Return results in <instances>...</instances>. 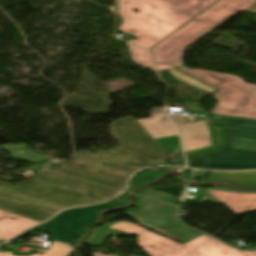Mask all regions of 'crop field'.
Masks as SVG:
<instances>
[{
    "mask_svg": "<svg viewBox=\"0 0 256 256\" xmlns=\"http://www.w3.org/2000/svg\"><path fill=\"white\" fill-rule=\"evenodd\" d=\"M217 0H118V16L123 23L119 32L134 29L139 41L133 44L149 48ZM134 10H139L134 13Z\"/></svg>",
    "mask_w": 256,
    "mask_h": 256,
    "instance_id": "obj_1",
    "label": "crop field"
},
{
    "mask_svg": "<svg viewBox=\"0 0 256 256\" xmlns=\"http://www.w3.org/2000/svg\"><path fill=\"white\" fill-rule=\"evenodd\" d=\"M213 121L227 128L225 147L187 159V167L219 170L256 168V120L213 114Z\"/></svg>",
    "mask_w": 256,
    "mask_h": 256,
    "instance_id": "obj_2",
    "label": "crop field"
},
{
    "mask_svg": "<svg viewBox=\"0 0 256 256\" xmlns=\"http://www.w3.org/2000/svg\"><path fill=\"white\" fill-rule=\"evenodd\" d=\"M256 0H220L184 27L168 36L152 50L155 61L182 66V51L239 11H246Z\"/></svg>",
    "mask_w": 256,
    "mask_h": 256,
    "instance_id": "obj_3",
    "label": "crop field"
},
{
    "mask_svg": "<svg viewBox=\"0 0 256 256\" xmlns=\"http://www.w3.org/2000/svg\"><path fill=\"white\" fill-rule=\"evenodd\" d=\"M179 69L219 89L213 94L218 103L212 113L256 119V85L227 74L190 70L184 66Z\"/></svg>",
    "mask_w": 256,
    "mask_h": 256,
    "instance_id": "obj_4",
    "label": "crop field"
},
{
    "mask_svg": "<svg viewBox=\"0 0 256 256\" xmlns=\"http://www.w3.org/2000/svg\"><path fill=\"white\" fill-rule=\"evenodd\" d=\"M135 206L140 212L125 213L142 227L182 244L200 236L203 232L187 228L176 217L177 207H173L135 194Z\"/></svg>",
    "mask_w": 256,
    "mask_h": 256,
    "instance_id": "obj_5",
    "label": "crop field"
},
{
    "mask_svg": "<svg viewBox=\"0 0 256 256\" xmlns=\"http://www.w3.org/2000/svg\"><path fill=\"white\" fill-rule=\"evenodd\" d=\"M129 234L139 236L137 238L138 246L145 250L150 256H189L183 245L147 231L138 225L124 221H113L104 224L84 243V245L97 247L102 245L103 239L108 235ZM93 253L94 256H110Z\"/></svg>",
    "mask_w": 256,
    "mask_h": 256,
    "instance_id": "obj_6",
    "label": "crop field"
},
{
    "mask_svg": "<svg viewBox=\"0 0 256 256\" xmlns=\"http://www.w3.org/2000/svg\"><path fill=\"white\" fill-rule=\"evenodd\" d=\"M113 207L116 206L104 203L91 207L66 210L48 223L35 227L34 229L76 240L83 234V227L98 220V213L100 211Z\"/></svg>",
    "mask_w": 256,
    "mask_h": 256,
    "instance_id": "obj_7",
    "label": "crop field"
},
{
    "mask_svg": "<svg viewBox=\"0 0 256 256\" xmlns=\"http://www.w3.org/2000/svg\"><path fill=\"white\" fill-rule=\"evenodd\" d=\"M183 139L186 156L222 146V132L209 122L186 123L183 116L169 115Z\"/></svg>",
    "mask_w": 256,
    "mask_h": 256,
    "instance_id": "obj_8",
    "label": "crop field"
},
{
    "mask_svg": "<svg viewBox=\"0 0 256 256\" xmlns=\"http://www.w3.org/2000/svg\"><path fill=\"white\" fill-rule=\"evenodd\" d=\"M159 120H164V122L161 123ZM137 121L161 145L171 159L182 154L179 137L173 124L165 116L164 108H152L151 118Z\"/></svg>",
    "mask_w": 256,
    "mask_h": 256,
    "instance_id": "obj_9",
    "label": "crop field"
},
{
    "mask_svg": "<svg viewBox=\"0 0 256 256\" xmlns=\"http://www.w3.org/2000/svg\"><path fill=\"white\" fill-rule=\"evenodd\" d=\"M184 246L191 256H256V252L233 249L205 234Z\"/></svg>",
    "mask_w": 256,
    "mask_h": 256,
    "instance_id": "obj_10",
    "label": "crop field"
},
{
    "mask_svg": "<svg viewBox=\"0 0 256 256\" xmlns=\"http://www.w3.org/2000/svg\"><path fill=\"white\" fill-rule=\"evenodd\" d=\"M218 201L224 203L236 214L245 210H256V194L232 193L226 191L206 190Z\"/></svg>",
    "mask_w": 256,
    "mask_h": 256,
    "instance_id": "obj_11",
    "label": "crop field"
},
{
    "mask_svg": "<svg viewBox=\"0 0 256 256\" xmlns=\"http://www.w3.org/2000/svg\"><path fill=\"white\" fill-rule=\"evenodd\" d=\"M40 222L0 211V238L9 240Z\"/></svg>",
    "mask_w": 256,
    "mask_h": 256,
    "instance_id": "obj_12",
    "label": "crop field"
},
{
    "mask_svg": "<svg viewBox=\"0 0 256 256\" xmlns=\"http://www.w3.org/2000/svg\"><path fill=\"white\" fill-rule=\"evenodd\" d=\"M256 171L251 172H210L206 181L252 180Z\"/></svg>",
    "mask_w": 256,
    "mask_h": 256,
    "instance_id": "obj_13",
    "label": "crop field"
},
{
    "mask_svg": "<svg viewBox=\"0 0 256 256\" xmlns=\"http://www.w3.org/2000/svg\"><path fill=\"white\" fill-rule=\"evenodd\" d=\"M128 48L131 52V55L135 64L155 71L150 59V55L147 50L141 49L129 43H128Z\"/></svg>",
    "mask_w": 256,
    "mask_h": 256,
    "instance_id": "obj_14",
    "label": "crop field"
},
{
    "mask_svg": "<svg viewBox=\"0 0 256 256\" xmlns=\"http://www.w3.org/2000/svg\"><path fill=\"white\" fill-rule=\"evenodd\" d=\"M168 71L174 77H176V78H178V79H180V80H182V81H184V82H186V83H188L192 86H195V87H197V88H199V89H201V90H203V91H205L209 94H211L213 91H215V89H213V88H211V87H209V86H207V85H205V84H203V83H201V82H199V81H197V80H195V79H193V78H191V77H189V76H187V75H185L181 72H179L176 68L169 69Z\"/></svg>",
    "mask_w": 256,
    "mask_h": 256,
    "instance_id": "obj_15",
    "label": "crop field"
},
{
    "mask_svg": "<svg viewBox=\"0 0 256 256\" xmlns=\"http://www.w3.org/2000/svg\"><path fill=\"white\" fill-rule=\"evenodd\" d=\"M41 256H69L73 249L71 246L54 241L48 251H42Z\"/></svg>",
    "mask_w": 256,
    "mask_h": 256,
    "instance_id": "obj_16",
    "label": "crop field"
},
{
    "mask_svg": "<svg viewBox=\"0 0 256 256\" xmlns=\"http://www.w3.org/2000/svg\"><path fill=\"white\" fill-rule=\"evenodd\" d=\"M140 195H144L150 198H154L160 201H164L170 204H174L175 205V201H174V196L173 195H169V194H165L163 192H159V191H155L152 189V187H148L147 189L137 193Z\"/></svg>",
    "mask_w": 256,
    "mask_h": 256,
    "instance_id": "obj_17",
    "label": "crop field"
},
{
    "mask_svg": "<svg viewBox=\"0 0 256 256\" xmlns=\"http://www.w3.org/2000/svg\"><path fill=\"white\" fill-rule=\"evenodd\" d=\"M205 183H207V182H205ZM225 183H232V184L247 186V185H256V180H252V181H225Z\"/></svg>",
    "mask_w": 256,
    "mask_h": 256,
    "instance_id": "obj_18",
    "label": "crop field"
},
{
    "mask_svg": "<svg viewBox=\"0 0 256 256\" xmlns=\"http://www.w3.org/2000/svg\"><path fill=\"white\" fill-rule=\"evenodd\" d=\"M207 189L227 190V191L243 192V193H256V190L255 191H238V190L227 188V187H217V188H207Z\"/></svg>",
    "mask_w": 256,
    "mask_h": 256,
    "instance_id": "obj_19",
    "label": "crop field"
},
{
    "mask_svg": "<svg viewBox=\"0 0 256 256\" xmlns=\"http://www.w3.org/2000/svg\"><path fill=\"white\" fill-rule=\"evenodd\" d=\"M51 238L55 239V240H60V241L66 242V243H71V244L75 243V241H73V240H69V239H65V238H61V237H57V236H53V235H51Z\"/></svg>",
    "mask_w": 256,
    "mask_h": 256,
    "instance_id": "obj_20",
    "label": "crop field"
},
{
    "mask_svg": "<svg viewBox=\"0 0 256 256\" xmlns=\"http://www.w3.org/2000/svg\"><path fill=\"white\" fill-rule=\"evenodd\" d=\"M156 65L158 70L173 68V66H170V65H161V64H156Z\"/></svg>",
    "mask_w": 256,
    "mask_h": 256,
    "instance_id": "obj_21",
    "label": "crop field"
},
{
    "mask_svg": "<svg viewBox=\"0 0 256 256\" xmlns=\"http://www.w3.org/2000/svg\"><path fill=\"white\" fill-rule=\"evenodd\" d=\"M0 256H14V255L10 252H0ZM31 256H38V254L31 255Z\"/></svg>",
    "mask_w": 256,
    "mask_h": 256,
    "instance_id": "obj_22",
    "label": "crop field"
},
{
    "mask_svg": "<svg viewBox=\"0 0 256 256\" xmlns=\"http://www.w3.org/2000/svg\"><path fill=\"white\" fill-rule=\"evenodd\" d=\"M247 12H250L256 15V3L250 9H248Z\"/></svg>",
    "mask_w": 256,
    "mask_h": 256,
    "instance_id": "obj_23",
    "label": "crop field"
}]
</instances>
